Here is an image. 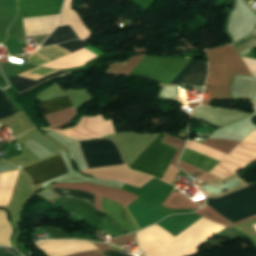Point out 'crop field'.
<instances>
[{
    "label": "crop field",
    "instance_id": "1",
    "mask_svg": "<svg viewBox=\"0 0 256 256\" xmlns=\"http://www.w3.org/2000/svg\"><path fill=\"white\" fill-rule=\"evenodd\" d=\"M225 228L202 217L176 238L157 224L137 235L140 250L146 256H192L201 243Z\"/></svg>",
    "mask_w": 256,
    "mask_h": 256
},
{
    "label": "crop field",
    "instance_id": "2",
    "mask_svg": "<svg viewBox=\"0 0 256 256\" xmlns=\"http://www.w3.org/2000/svg\"><path fill=\"white\" fill-rule=\"evenodd\" d=\"M190 60L144 55L128 75L167 84ZM207 63L191 60L168 84L204 85Z\"/></svg>",
    "mask_w": 256,
    "mask_h": 256
},
{
    "label": "crop field",
    "instance_id": "3",
    "mask_svg": "<svg viewBox=\"0 0 256 256\" xmlns=\"http://www.w3.org/2000/svg\"><path fill=\"white\" fill-rule=\"evenodd\" d=\"M207 204L235 223L256 214V184L220 198H208Z\"/></svg>",
    "mask_w": 256,
    "mask_h": 256
},
{
    "label": "crop field",
    "instance_id": "4",
    "mask_svg": "<svg viewBox=\"0 0 256 256\" xmlns=\"http://www.w3.org/2000/svg\"><path fill=\"white\" fill-rule=\"evenodd\" d=\"M165 135L161 133L128 167L161 179L177 152L161 142Z\"/></svg>",
    "mask_w": 256,
    "mask_h": 256
},
{
    "label": "crop field",
    "instance_id": "5",
    "mask_svg": "<svg viewBox=\"0 0 256 256\" xmlns=\"http://www.w3.org/2000/svg\"><path fill=\"white\" fill-rule=\"evenodd\" d=\"M79 142L89 168L124 164L118 148L108 139Z\"/></svg>",
    "mask_w": 256,
    "mask_h": 256
},
{
    "label": "crop field",
    "instance_id": "6",
    "mask_svg": "<svg viewBox=\"0 0 256 256\" xmlns=\"http://www.w3.org/2000/svg\"><path fill=\"white\" fill-rule=\"evenodd\" d=\"M47 256H66L76 252L97 250L87 241L81 240H43L35 243Z\"/></svg>",
    "mask_w": 256,
    "mask_h": 256
},
{
    "label": "crop field",
    "instance_id": "7",
    "mask_svg": "<svg viewBox=\"0 0 256 256\" xmlns=\"http://www.w3.org/2000/svg\"><path fill=\"white\" fill-rule=\"evenodd\" d=\"M72 52L82 49L90 44L80 41V40H74V41H68L62 44H58ZM71 52L57 46H48L40 48L38 51L31 53V55L28 58V62L36 65H43L45 63H48L54 59H57L61 56H64L66 54H69Z\"/></svg>",
    "mask_w": 256,
    "mask_h": 256
},
{
    "label": "crop field",
    "instance_id": "8",
    "mask_svg": "<svg viewBox=\"0 0 256 256\" xmlns=\"http://www.w3.org/2000/svg\"><path fill=\"white\" fill-rule=\"evenodd\" d=\"M32 177L33 185L67 173L60 156L22 169Z\"/></svg>",
    "mask_w": 256,
    "mask_h": 256
},
{
    "label": "crop field",
    "instance_id": "9",
    "mask_svg": "<svg viewBox=\"0 0 256 256\" xmlns=\"http://www.w3.org/2000/svg\"><path fill=\"white\" fill-rule=\"evenodd\" d=\"M53 71H56V70L38 67L33 70L27 71L25 73L19 74L18 76L36 79L38 77H41V76L51 73ZM65 73H68V72L58 70L56 72H53L51 74H48V75L38 78L36 80L27 79V78L18 77V76H14V77L10 78V80H11V83L13 84V86L18 91V93H20L22 91H25L27 89H30V88L42 83L50 78H53V77H56L58 75L65 74Z\"/></svg>",
    "mask_w": 256,
    "mask_h": 256
},
{
    "label": "crop field",
    "instance_id": "10",
    "mask_svg": "<svg viewBox=\"0 0 256 256\" xmlns=\"http://www.w3.org/2000/svg\"><path fill=\"white\" fill-rule=\"evenodd\" d=\"M24 17L60 14L63 0H17Z\"/></svg>",
    "mask_w": 256,
    "mask_h": 256
},
{
    "label": "crop field",
    "instance_id": "11",
    "mask_svg": "<svg viewBox=\"0 0 256 256\" xmlns=\"http://www.w3.org/2000/svg\"><path fill=\"white\" fill-rule=\"evenodd\" d=\"M116 203L102 198V209L105 210L115 221L122 225L128 232L136 231L137 228L126 209Z\"/></svg>",
    "mask_w": 256,
    "mask_h": 256
},
{
    "label": "crop field",
    "instance_id": "12",
    "mask_svg": "<svg viewBox=\"0 0 256 256\" xmlns=\"http://www.w3.org/2000/svg\"><path fill=\"white\" fill-rule=\"evenodd\" d=\"M181 160L193 164L207 172H209L213 167H215L220 162L219 160H216L214 158L208 157L206 155L200 154L187 148L184 154L182 155Z\"/></svg>",
    "mask_w": 256,
    "mask_h": 256
},
{
    "label": "crop field",
    "instance_id": "13",
    "mask_svg": "<svg viewBox=\"0 0 256 256\" xmlns=\"http://www.w3.org/2000/svg\"><path fill=\"white\" fill-rule=\"evenodd\" d=\"M90 60H92V58H88L85 56L71 53L67 56L60 58V59L52 61V62L44 65L43 67L66 69V68L84 66V64L89 62Z\"/></svg>",
    "mask_w": 256,
    "mask_h": 256
},
{
    "label": "crop field",
    "instance_id": "14",
    "mask_svg": "<svg viewBox=\"0 0 256 256\" xmlns=\"http://www.w3.org/2000/svg\"><path fill=\"white\" fill-rule=\"evenodd\" d=\"M71 106L68 96L44 100L40 105L43 116Z\"/></svg>",
    "mask_w": 256,
    "mask_h": 256
},
{
    "label": "crop field",
    "instance_id": "15",
    "mask_svg": "<svg viewBox=\"0 0 256 256\" xmlns=\"http://www.w3.org/2000/svg\"><path fill=\"white\" fill-rule=\"evenodd\" d=\"M77 38L78 36L75 34L70 25L61 26L55 30V32L48 38V40L42 46L53 45Z\"/></svg>",
    "mask_w": 256,
    "mask_h": 256
},
{
    "label": "crop field",
    "instance_id": "16",
    "mask_svg": "<svg viewBox=\"0 0 256 256\" xmlns=\"http://www.w3.org/2000/svg\"><path fill=\"white\" fill-rule=\"evenodd\" d=\"M13 234V228L7 219V213L0 210V245L11 247L10 237Z\"/></svg>",
    "mask_w": 256,
    "mask_h": 256
},
{
    "label": "crop field",
    "instance_id": "17",
    "mask_svg": "<svg viewBox=\"0 0 256 256\" xmlns=\"http://www.w3.org/2000/svg\"><path fill=\"white\" fill-rule=\"evenodd\" d=\"M53 190L56 193H58L61 197L75 198V199L86 201V202L90 203L91 205H93L94 195H92V194L74 191V190H70V189L54 188Z\"/></svg>",
    "mask_w": 256,
    "mask_h": 256
},
{
    "label": "crop field",
    "instance_id": "18",
    "mask_svg": "<svg viewBox=\"0 0 256 256\" xmlns=\"http://www.w3.org/2000/svg\"><path fill=\"white\" fill-rule=\"evenodd\" d=\"M20 112L9 99L0 91V119Z\"/></svg>",
    "mask_w": 256,
    "mask_h": 256
},
{
    "label": "crop field",
    "instance_id": "19",
    "mask_svg": "<svg viewBox=\"0 0 256 256\" xmlns=\"http://www.w3.org/2000/svg\"><path fill=\"white\" fill-rule=\"evenodd\" d=\"M103 254H105L106 256H126V255H122V254H119L113 250L111 251H107V252H103Z\"/></svg>",
    "mask_w": 256,
    "mask_h": 256
},
{
    "label": "crop field",
    "instance_id": "20",
    "mask_svg": "<svg viewBox=\"0 0 256 256\" xmlns=\"http://www.w3.org/2000/svg\"><path fill=\"white\" fill-rule=\"evenodd\" d=\"M6 250L8 249L0 247V256H11Z\"/></svg>",
    "mask_w": 256,
    "mask_h": 256
}]
</instances>
